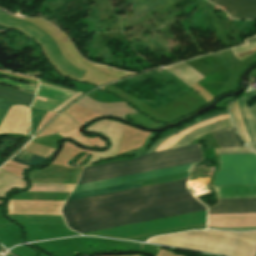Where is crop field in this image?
I'll list each match as a JSON object with an SVG mask.
<instances>
[{
	"label": "crop field",
	"mask_w": 256,
	"mask_h": 256,
	"mask_svg": "<svg viewBox=\"0 0 256 256\" xmlns=\"http://www.w3.org/2000/svg\"><path fill=\"white\" fill-rule=\"evenodd\" d=\"M36 99H37V100H40V101H42V102H46V103H48L49 101H51V100H49V99H45V98H42V97H40V96H37ZM51 103L58 104V102H54V101H52ZM49 104H50V103H49ZM60 104H61V103H60ZM60 104H58L57 106H59ZM53 105H54V104H53Z\"/></svg>",
	"instance_id": "23"
},
{
	"label": "crop field",
	"mask_w": 256,
	"mask_h": 256,
	"mask_svg": "<svg viewBox=\"0 0 256 256\" xmlns=\"http://www.w3.org/2000/svg\"><path fill=\"white\" fill-rule=\"evenodd\" d=\"M215 4L256 5V0H208ZM233 19H256V6L218 5Z\"/></svg>",
	"instance_id": "9"
},
{
	"label": "crop field",
	"mask_w": 256,
	"mask_h": 256,
	"mask_svg": "<svg viewBox=\"0 0 256 256\" xmlns=\"http://www.w3.org/2000/svg\"><path fill=\"white\" fill-rule=\"evenodd\" d=\"M167 69L178 75L182 80H184L189 85L205 78L185 63L171 66Z\"/></svg>",
	"instance_id": "14"
},
{
	"label": "crop field",
	"mask_w": 256,
	"mask_h": 256,
	"mask_svg": "<svg viewBox=\"0 0 256 256\" xmlns=\"http://www.w3.org/2000/svg\"><path fill=\"white\" fill-rule=\"evenodd\" d=\"M186 181L187 179L69 201L63 207L62 213L63 215H66L161 196L188 192L189 189L186 186Z\"/></svg>",
	"instance_id": "4"
},
{
	"label": "crop field",
	"mask_w": 256,
	"mask_h": 256,
	"mask_svg": "<svg viewBox=\"0 0 256 256\" xmlns=\"http://www.w3.org/2000/svg\"><path fill=\"white\" fill-rule=\"evenodd\" d=\"M231 125H233V124H232L231 120L229 119V120H226V121H223V122L211 125V126H207V127H204V128L197 129V130L189 133L185 138L181 139L179 142H177L171 149L186 146L190 142H192L193 140H195V139H197V138H199V137H201V136H203L207 133H210L214 130L221 129V128H224V127H228V126H231Z\"/></svg>",
	"instance_id": "12"
},
{
	"label": "crop field",
	"mask_w": 256,
	"mask_h": 256,
	"mask_svg": "<svg viewBox=\"0 0 256 256\" xmlns=\"http://www.w3.org/2000/svg\"><path fill=\"white\" fill-rule=\"evenodd\" d=\"M214 229H222V230H249V229H256V227L253 228H215V227H210Z\"/></svg>",
	"instance_id": "22"
},
{
	"label": "crop field",
	"mask_w": 256,
	"mask_h": 256,
	"mask_svg": "<svg viewBox=\"0 0 256 256\" xmlns=\"http://www.w3.org/2000/svg\"><path fill=\"white\" fill-rule=\"evenodd\" d=\"M34 94L10 89L7 87L0 86V98L25 104V105H31L33 100ZM35 98V97H34Z\"/></svg>",
	"instance_id": "13"
},
{
	"label": "crop field",
	"mask_w": 256,
	"mask_h": 256,
	"mask_svg": "<svg viewBox=\"0 0 256 256\" xmlns=\"http://www.w3.org/2000/svg\"><path fill=\"white\" fill-rule=\"evenodd\" d=\"M246 96H247V100H250L256 96V91L248 93V94H246Z\"/></svg>",
	"instance_id": "24"
},
{
	"label": "crop field",
	"mask_w": 256,
	"mask_h": 256,
	"mask_svg": "<svg viewBox=\"0 0 256 256\" xmlns=\"http://www.w3.org/2000/svg\"><path fill=\"white\" fill-rule=\"evenodd\" d=\"M47 112L31 108V134L33 135L41 121Z\"/></svg>",
	"instance_id": "17"
},
{
	"label": "crop field",
	"mask_w": 256,
	"mask_h": 256,
	"mask_svg": "<svg viewBox=\"0 0 256 256\" xmlns=\"http://www.w3.org/2000/svg\"><path fill=\"white\" fill-rule=\"evenodd\" d=\"M148 242L177 246L228 256H254L256 231L246 233L190 231L151 238Z\"/></svg>",
	"instance_id": "2"
},
{
	"label": "crop field",
	"mask_w": 256,
	"mask_h": 256,
	"mask_svg": "<svg viewBox=\"0 0 256 256\" xmlns=\"http://www.w3.org/2000/svg\"><path fill=\"white\" fill-rule=\"evenodd\" d=\"M193 165H195V164L179 166V167H174V168H168V169H162V170H157V171H151V172H146V173H140V174H135V175H129V176H124V177H118V178H113V179L101 180V181H96V182H90V183H85V184H79L75 187L73 192H79V191H84V190H89V189H95V188H100V187L116 185V184L144 180V179L160 177V176H165V175H171V174H176V173H181V172H187V171H189V168L192 167Z\"/></svg>",
	"instance_id": "7"
},
{
	"label": "crop field",
	"mask_w": 256,
	"mask_h": 256,
	"mask_svg": "<svg viewBox=\"0 0 256 256\" xmlns=\"http://www.w3.org/2000/svg\"><path fill=\"white\" fill-rule=\"evenodd\" d=\"M252 141L256 142V104L248 107L245 96L238 99Z\"/></svg>",
	"instance_id": "10"
},
{
	"label": "crop field",
	"mask_w": 256,
	"mask_h": 256,
	"mask_svg": "<svg viewBox=\"0 0 256 256\" xmlns=\"http://www.w3.org/2000/svg\"><path fill=\"white\" fill-rule=\"evenodd\" d=\"M217 154L253 153L247 148L215 149Z\"/></svg>",
	"instance_id": "19"
},
{
	"label": "crop field",
	"mask_w": 256,
	"mask_h": 256,
	"mask_svg": "<svg viewBox=\"0 0 256 256\" xmlns=\"http://www.w3.org/2000/svg\"><path fill=\"white\" fill-rule=\"evenodd\" d=\"M8 214L61 215V214H47V213H21V212H8Z\"/></svg>",
	"instance_id": "21"
},
{
	"label": "crop field",
	"mask_w": 256,
	"mask_h": 256,
	"mask_svg": "<svg viewBox=\"0 0 256 256\" xmlns=\"http://www.w3.org/2000/svg\"><path fill=\"white\" fill-rule=\"evenodd\" d=\"M256 37V36H255Z\"/></svg>",
	"instance_id": "28"
},
{
	"label": "crop field",
	"mask_w": 256,
	"mask_h": 256,
	"mask_svg": "<svg viewBox=\"0 0 256 256\" xmlns=\"http://www.w3.org/2000/svg\"><path fill=\"white\" fill-rule=\"evenodd\" d=\"M7 110H8V109H7ZM7 110L2 111V113H1V115H0V123H1V121L4 119Z\"/></svg>",
	"instance_id": "25"
},
{
	"label": "crop field",
	"mask_w": 256,
	"mask_h": 256,
	"mask_svg": "<svg viewBox=\"0 0 256 256\" xmlns=\"http://www.w3.org/2000/svg\"><path fill=\"white\" fill-rule=\"evenodd\" d=\"M11 160H14L16 162H19L21 164L31 167V166L43 163L47 159L22 150L18 155L13 157Z\"/></svg>",
	"instance_id": "16"
},
{
	"label": "crop field",
	"mask_w": 256,
	"mask_h": 256,
	"mask_svg": "<svg viewBox=\"0 0 256 256\" xmlns=\"http://www.w3.org/2000/svg\"><path fill=\"white\" fill-rule=\"evenodd\" d=\"M213 186L256 184V154L219 155Z\"/></svg>",
	"instance_id": "5"
},
{
	"label": "crop field",
	"mask_w": 256,
	"mask_h": 256,
	"mask_svg": "<svg viewBox=\"0 0 256 256\" xmlns=\"http://www.w3.org/2000/svg\"><path fill=\"white\" fill-rule=\"evenodd\" d=\"M248 44L249 45L239 46V47L232 49L234 54L254 48L256 46V41L249 42Z\"/></svg>",
	"instance_id": "20"
},
{
	"label": "crop field",
	"mask_w": 256,
	"mask_h": 256,
	"mask_svg": "<svg viewBox=\"0 0 256 256\" xmlns=\"http://www.w3.org/2000/svg\"><path fill=\"white\" fill-rule=\"evenodd\" d=\"M206 209L196 199L67 223L79 233Z\"/></svg>",
	"instance_id": "3"
},
{
	"label": "crop field",
	"mask_w": 256,
	"mask_h": 256,
	"mask_svg": "<svg viewBox=\"0 0 256 256\" xmlns=\"http://www.w3.org/2000/svg\"><path fill=\"white\" fill-rule=\"evenodd\" d=\"M131 188H135L133 183L122 185V186H115V187L103 188V189H98V190H91V191L73 193V194L70 195L68 201L69 200H74V199H79V198H85V197L100 195V194H105V193H110V192H115V191L131 189Z\"/></svg>",
	"instance_id": "15"
},
{
	"label": "crop field",
	"mask_w": 256,
	"mask_h": 256,
	"mask_svg": "<svg viewBox=\"0 0 256 256\" xmlns=\"http://www.w3.org/2000/svg\"><path fill=\"white\" fill-rule=\"evenodd\" d=\"M0 31H2V29H0ZM4 32V31H3ZM0 33H2V32H0Z\"/></svg>",
	"instance_id": "27"
},
{
	"label": "crop field",
	"mask_w": 256,
	"mask_h": 256,
	"mask_svg": "<svg viewBox=\"0 0 256 256\" xmlns=\"http://www.w3.org/2000/svg\"><path fill=\"white\" fill-rule=\"evenodd\" d=\"M220 147H245L237 137L234 127L217 130L212 133Z\"/></svg>",
	"instance_id": "11"
},
{
	"label": "crop field",
	"mask_w": 256,
	"mask_h": 256,
	"mask_svg": "<svg viewBox=\"0 0 256 256\" xmlns=\"http://www.w3.org/2000/svg\"><path fill=\"white\" fill-rule=\"evenodd\" d=\"M201 160L202 157L200 150L197 144H195L192 146H187L174 150H165L145 155L137 159L119 161L85 168L84 171L82 170L83 172L79 178L78 184L196 163Z\"/></svg>",
	"instance_id": "1"
},
{
	"label": "crop field",
	"mask_w": 256,
	"mask_h": 256,
	"mask_svg": "<svg viewBox=\"0 0 256 256\" xmlns=\"http://www.w3.org/2000/svg\"><path fill=\"white\" fill-rule=\"evenodd\" d=\"M193 198L194 197L192 196V194L190 192H188V193L177 194V195H172V196H167V197H161V198H156V199H151V200H146V201H140V202H135V203H130V204L108 207V208H103V209H98V210H93V211H87V212H82V213H77V214L66 215V216H64V218H65L66 222H69V221H75V220H80V219H85V218H91V217H96V216H101V215L118 213V212L134 210V209H139V208H144V207H150V206H155V205H161V204L177 202V201L193 199Z\"/></svg>",
	"instance_id": "6"
},
{
	"label": "crop field",
	"mask_w": 256,
	"mask_h": 256,
	"mask_svg": "<svg viewBox=\"0 0 256 256\" xmlns=\"http://www.w3.org/2000/svg\"><path fill=\"white\" fill-rule=\"evenodd\" d=\"M226 113H228L227 110L222 111V112H220V113H217V114H214V115H212V116H209V117H207V118H205V119H203V120H201V121H199V122H196V123H194V124H192V125H190V126H193V125H195V124H198V123H200V122H202V121H204V120L210 119V118H212V117H214V116L221 115V114H226ZM190 126H188V127H190ZM188 127H186V128H188ZM186 128H184V129H186ZM184 129H182V130H184ZM182 130H179V131H177V132H175V133H173V134H170V135H168V136H166V137H162V138L158 139V140L152 145V147L150 148V150H149L146 154H149V153L154 152V151L157 149V147H158L162 142H164L165 140H167L168 138H170L171 136L177 134L178 132H180V131H182Z\"/></svg>",
	"instance_id": "18"
},
{
	"label": "crop field",
	"mask_w": 256,
	"mask_h": 256,
	"mask_svg": "<svg viewBox=\"0 0 256 256\" xmlns=\"http://www.w3.org/2000/svg\"><path fill=\"white\" fill-rule=\"evenodd\" d=\"M248 146L256 152V144H250Z\"/></svg>",
	"instance_id": "26"
},
{
	"label": "crop field",
	"mask_w": 256,
	"mask_h": 256,
	"mask_svg": "<svg viewBox=\"0 0 256 256\" xmlns=\"http://www.w3.org/2000/svg\"><path fill=\"white\" fill-rule=\"evenodd\" d=\"M256 212V198L218 199L209 214L252 213Z\"/></svg>",
	"instance_id": "8"
}]
</instances>
